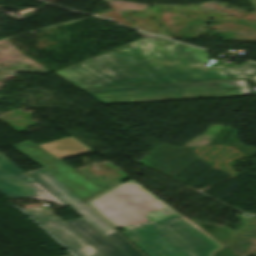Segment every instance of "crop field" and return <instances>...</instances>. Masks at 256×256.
<instances>
[{
	"label": "crop field",
	"mask_w": 256,
	"mask_h": 256,
	"mask_svg": "<svg viewBox=\"0 0 256 256\" xmlns=\"http://www.w3.org/2000/svg\"><path fill=\"white\" fill-rule=\"evenodd\" d=\"M39 146L49 151L59 159L90 151L85 148L86 146L84 147L72 137L56 140Z\"/></svg>",
	"instance_id": "9"
},
{
	"label": "crop field",
	"mask_w": 256,
	"mask_h": 256,
	"mask_svg": "<svg viewBox=\"0 0 256 256\" xmlns=\"http://www.w3.org/2000/svg\"><path fill=\"white\" fill-rule=\"evenodd\" d=\"M77 256H103L47 209L25 210Z\"/></svg>",
	"instance_id": "7"
},
{
	"label": "crop field",
	"mask_w": 256,
	"mask_h": 256,
	"mask_svg": "<svg viewBox=\"0 0 256 256\" xmlns=\"http://www.w3.org/2000/svg\"><path fill=\"white\" fill-rule=\"evenodd\" d=\"M147 256H191L174 253L153 234L165 221L181 217L176 211L131 181L117 186L87 203Z\"/></svg>",
	"instance_id": "2"
},
{
	"label": "crop field",
	"mask_w": 256,
	"mask_h": 256,
	"mask_svg": "<svg viewBox=\"0 0 256 256\" xmlns=\"http://www.w3.org/2000/svg\"><path fill=\"white\" fill-rule=\"evenodd\" d=\"M21 152L43 167L27 172L41 186L86 220L125 254L128 256H142L104 220L83 204L84 201L104 191V189L70 166L60 162L61 160L59 161L58 158L39 146L21 150Z\"/></svg>",
	"instance_id": "3"
},
{
	"label": "crop field",
	"mask_w": 256,
	"mask_h": 256,
	"mask_svg": "<svg viewBox=\"0 0 256 256\" xmlns=\"http://www.w3.org/2000/svg\"><path fill=\"white\" fill-rule=\"evenodd\" d=\"M149 50L144 51L142 48ZM203 49L144 38L57 71L79 89L243 78L226 65L206 68Z\"/></svg>",
	"instance_id": "1"
},
{
	"label": "crop field",
	"mask_w": 256,
	"mask_h": 256,
	"mask_svg": "<svg viewBox=\"0 0 256 256\" xmlns=\"http://www.w3.org/2000/svg\"><path fill=\"white\" fill-rule=\"evenodd\" d=\"M32 182L36 181L0 153V192L4 196L7 198L43 199L62 205L40 186L30 184Z\"/></svg>",
	"instance_id": "6"
},
{
	"label": "crop field",
	"mask_w": 256,
	"mask_h": 256,
	"mask_svg": "<svg viewBox=\"0 0 256 256\" xmlns=\"http://www.w3.org/2000/svg\"><path fill=\"white\" fill-rule=\"evenodd\" d=\"M256 82V75L250 77ZM104 104L252 95L246 80L83 91Z\"/></svg>",
	"instance_id": "4"
},
{
	"label": "crop field",
	"mask_w": 256,
	"mask_h": 256,
	"mask_svg": "<svg viewBox=\"0 0 256 256\" xmlns=\"http://www.w3.org/2000/svg\"><path fill=\"white\" fill-rule=\"evenodd\" d=\"M69 256H73V255H69Z\"/></svg>",
	"instance_id": "11"
},
{
	"label": "crop field",
	"mask_w": 256,
	"mask_h": 256,
	"mask_svg": "<svg viewBox=\"0 0 256 256\" xmlns=\"http://www.w3.org/2000/svg\"><path fill=\"white\" fill-rule=\"evenodd\" d=\"M64 223H66L104 256H127L83 219L66 221Z\"/></svg>",
	"instance_id": "8"
},
{
	"label": "crop field",
	"mask_w": 256,
	"mask_h": 256,
	"mask_svg": "<svg viewBox=\"0 0 256 256\" xmlns=\"http://www.w3.org/2000/svg\"><path fill=\"white\" fill-rule=\"evenodd\" d=\"M238 67L247 76L256 73V64H254V63L247 62V63L241 64V65H238Z\"/></svg>",
	"instance_id": "10"
},
{
	"label": "crop field",
	"mask_w": 256,
	"mask_h": 256,
	"mask_svg": "<svg viewBox=\"0 0 256 256\" xmlns=\"http://www.w3.org/2000/svg\"><path fill=\"white\" fill-rule=\"evenodd\" d=\"M155 228L161 232L155 236L174 252L187 251L192 256H212L224 247L183 217Z\"/></svg>",
	"instance_id": "5"
}]
</instances>
